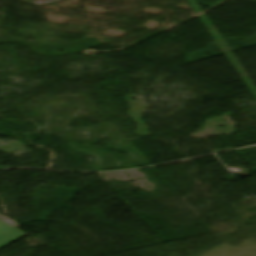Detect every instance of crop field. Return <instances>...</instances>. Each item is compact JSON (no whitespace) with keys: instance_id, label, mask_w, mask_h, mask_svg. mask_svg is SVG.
Masks as SVG:
<instances>
[{"instance_id":"obj_1","label":"crop field","mask_w":256,"mask_h":256,"mask_svg":"<svg viewBox=\"0 0 256 256\" xmlns=\"http://www.w3.org/2000/svg\"><path fill=\"white\" fill-rule=\"evenodd\" d=\"M26 235L0 220V248L24 237Z\"/></svg>"},{"instance_id":"obj_2","label":"crop field","mask_w":256,"mask_h":256,"mask_svg":"<svg viewBox=\"0 0 256 256\" xmlns=\"http://www.w3.org/2000/svg\"><path fill=\"white\" fill-rule=\"evenodd\" d=\"M1 216V215H0ZM1 218V217H0ZM1 219H3V218H1ZM4 221H6L5 219H3ZM6 222H8V221H6ZM8 223H10V222H8ZM11 225H13L12 223H10ZM13 226H15V225H13ZM16 227V226H15Z\"/></svg>"}]
</instances>
